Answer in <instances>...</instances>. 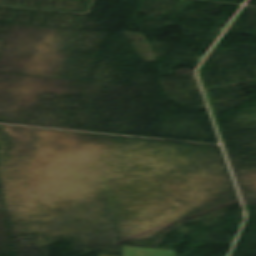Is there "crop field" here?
Wrapping results in <instances>:
<instances>
[{"instance_id":"1","label":"crop field","mask_w":256,"mask_h":256,"mask_svg":"<svg viewBox=\"0 0 256 256\" xmlns=\"http://www.w3.org/2000/svg\"><path fill=\"white\" fill-rule=\"evenodd\" d=\"M123 256H176L174 251L147 249L138 247H122Z\"/></svg>"}]
</instances>
